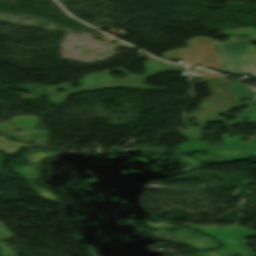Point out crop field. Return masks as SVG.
Listing matches in <instances>:
<instances>
[{"mask_svg":"<svg viewBox=\"0 0 256 256\" xmlns=\"http://www.w3.org/2000/svg\"><path fill=\"white\" fill-rule=\"evenodd\" d=\"M146 68V75L145 76H139V75H131L124 71L123 69L119 70H113V71H107L102 73H95L86 76L83 78L80 82L81 88L74 89L69 86V84H60L58 87H45V92L47 96H49V102L53 105H60L63 102H65L67 96L69 94L79 92V91H87L99 87H125V88H139V89H148V90H165L162 88H148L144 85L143 80L148 78L149 76L153 74H157L160 72H168V71H185L183 67H176L172 64H166L161 63L157 60H148L147 63L144 64ZM119 71L121 73H124L127 75V78L125 79H117V78H111L109 76L110 73ZM76 83V82H73ZM64 88L68 91L57 94L55 92L56 89Z\"/></svg>","mask_w":256,"mask_h":256,"instance_id":"obj_1","label":"crop field"},{"mask_svg":"<svg viewBox=\"0 0 256 256\" xmlns=\"http://www.w3.org/2000/svg\"><path fill=\"white\" fill-rule=\"evenodd\" d=\"M205 75L206 77L204 79L196 83L201 81L208 82L213 98L209 101H203L199 112H193L191 115H187L188 119L185 123L187 130H179V133L188 139L201 137L199 133L202 131L205 123L210 121H223L228 127L244 123L242 115L236 116L235 118L237 120L230 123L224 121V118L218 117L220 113L227 114L228 111L237 108V105L225 77L214 76L210 73H206ZM190 118H196L199 127H189L188 120Z\"/></svg>","mask_w":256,"mask_h":256,"instance_id":"obj_2","label":"crop field"},{"mask_svg":"<svg viewBox=\"0 0 256 256\" xmlns=\"http://www.w3.org/2000/svg\"><path fill=\"white\" fill-rule=\"evenodd\" d=\"M186 227L192 229H198L202 233L215 237L226 247L212 253L200 252L203 256H255L256 254L250 249L246 248L247 244L244 241L246 236H256V231L250 229L240 228L237 225L227 228H218L217 226L212 227H199L193 224H186Z\"/></svg>","mask_w":256,"mask_h":256,"instance_id":"obj_3","label":"crop field"},{"mask_svg":"<svg viewBox=\"0 0 256 256\" xmlns=\"http://www.w3.org/2000/svg\"><path fill=\"white\" fill-rule=\"evenodd\" d=\"M186 44L188 45L187 48L163 53L162 58L166 60L181 59L183 64H202L223 72L220 60L214 50L210 38L195 37L186 41Z\"/></svg>","mask_w":256,"mask_h":256,"instance_id":"obj_4","label":"crop field"},{"mask_svg":"<svg viewBox=\"0 0 256 256\" xmlns=\"http://www.w3.org/2000/svg\"><path fill=\"white\" fill-rule=\"evenodd\" d=\"M250 43H231L220 51L224 71L230 73L252 74L256 76V46Z\"/></svg>","mask_w":256,"mask_h":256,"instance_id":"obj_5","label":"crop field"},{"mask_svg":"<svg viewBox=\"0 0 256 256\" xmlns=\"http://www.w3.org/2000/svg\"><path fill=\"white\" fill-rule=\"evenodd\" d=\"M209 151L224 157L228 161H238L240 159H247V155L256 156V144L210 149ZM203 152L207 153L206 155L216 159L219 162H226L221 157L213 153H210L207 151H203Z\"/></svg>","mask_w":256,"mask_h":256,"instance_id":"obj_6","label":"crop field"},{"mask_svg":"<svg viewBox=\"0 0 256 256\" xmlns=\"http://www.w3.org/2000/svg\"><path fill=\"white\" fill-rule=\"evenodd\" d=\"M225 142L222 145H216V146H209L208 143H199L198 140H193L188 143H185L178 148H181L180 151H189V150H198V149H207V148H215V147H222V146H230V145H237V144H244L239 143L242 139V136L234 137V138H228L227 135H224ZM255 138H250L252 143L255 142Z\"/></svg>","mask_w":256,"mask_h":256,"instance_id":"obj_7","label":"crop field"},{"mask_svg":"<svg viewBox=\"0 0 256 256\" xmlns=\"http://www.w3.org/2000/svg\"><path fill=\"white\" fill-rule=\"evenodd\" d=\"M229 83H230V86H231V89H232V92H233V95L235 97L237 105L238 106L245 105V104L250 105V108L243 111V112H246V111H249V110H252V109L256 108V98L252 99V101L250 103H241V102H239V99H241V98H245V97L251 98V97H253V94H252L251 90L247 86H245L243 84H240V83H236V82H229Z\"/></svg>","mask_w":256,"mask_h":256,"instance_id":"obj_8","label":"crop field"},{"mask_svg":"<svg viewBox=\"0 0 256 256\" xmlns=\"http://www.w3.org/2000/svg\"><path fill=\"white\" fill-rule=\"evenodd\" d=\"M25 144L21 143H12L2 136H0V150H4L5 152L11 153L15 152L19 147L23 146Z\"/></svg>","mask_w":256,"mask_h":256,"instance_id":"obj_9","label":"crop field"},{"mask_svg":"<svg viewBox=\"0 0 256 256\" xmlns=\"http://www.w3.org/2000/svg\"><path fill=\"white\" fill-rule=\"evenodd\" d=\"M233 41H251V40H242V39H239V38H230L229 40H227V41H225V42H223V43H221V44H219L217 41H215V40H213L212 42H213V44L214 45H218V47H216V48H219V50H220V48L223 46V45H225V44H227V43H230V42H233ZM219 50L217 51V53H218V56H219V58H220V55H219ZM220 60H221V58H220ZM222 61V60H221Z\"/></svg>","mask_w":256,"mask_h":256,"instance_id":"obj_10","label":"crop field"},{"mask_svg":"<svg viewBox=\"0 0 256 256\" xmlns=\"http://www.w3.org/2000/svg\"><path fill=\"white\" fill-rule=\"evenodd\" d=\"M243 116L249 119L246 123L256 122V110L246 112L243 114Z\"/></svg>","mask_w":256,"mask_h":256,"instance_id":"obj_11","label":"crop field"}]
</instances>
